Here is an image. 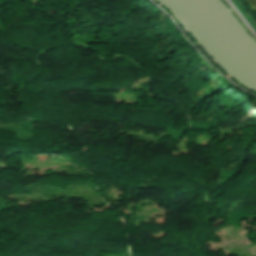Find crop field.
Returning <instances> with one entry per match:
<instances>
[{
	"label": "crop field",
	"instance_id": "1",
	"mask_svg": "<svg viewBox=\"0 0 256 256\" xmlns=\"http://www.w3.org/2000/svg\"><path fill=\"white\" fill-rule=\"evenodd\" d=\"M251 7H253L254 9H256V0H246Z\"/></svg>",
	"mask_w": 256,
	"mask_h": 256
}]
</instances>
